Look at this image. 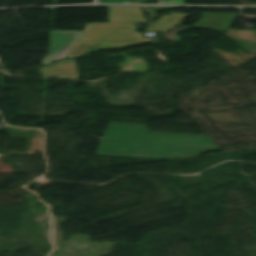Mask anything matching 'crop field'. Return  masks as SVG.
<instances>
[{
	"label": "crop field",
	"mask_w": 256,
	"mask_h": 256,
	"mask_svg": "<svg viewBox=\"0 0 256 256\" xmlns=\"http://www.w3.org/2000/svg\"><path fill=\"white\" fill-rule=\"evenodd\" d=\"M148 8L153 11H160V10H164V9L180 8V7H148Z\"/></svg>",
	"instance_id": "28ad6ade"
},
{
	"label": "crop field",
	"mask_w": 256,
	"mask_h": 256,
	"mask_svg": "<svg viewBox=\"0 0 256 256\" xmlns=\"http://www.w3.org/2000/svg\"><path fill=\"white\" fill-rule=\"evenodd\" d=\"M189 18L188 15L172 13L169 16L161 15L149 31L165 33L168 29L180 24V20Z\"/></svg>",
	"instance_id": "e52e79f7"
},
{
	"label": "crop field",
	"mask_w": 256,
	"mask_h": 256,
	"mask_svg": "<svg viewBox=\"0 0 256 256\" xmlns=\"http://www.w3.org/2000/svg\"><path fill=\"white\" fill-rule=\"evenodd\" d=\"M109 22L146 21L139 7L108 6Z\"/></svg>",
	"instance_id": "dd49c442"
},
{
	"label": "crop field",
	"mask_w": 256,
	"mask_h": 256,
	"mask_svg": "<svg viewBox=\"0 0 256 256\" xmlns=\"http://www.w3.org/2000/svg\"><path fill=\"white\" fill-rule=\"evenodd\" d=\"M138 2H149V1H152V0H136Z\"/></svg>",
	"instance_id": "d1516ede"
},
{
	"label": "crop field",
	"mask_w": 256,
	"mask_h": 256,
	"mask_svg": "<svg viewBox=\"0 0 256 256\" xmlns=\"http://www.w3.org/2000/svg\"><path fill=\"white\" fill-rule=\"evenodd\" d=\"M237 14L202 13V18L193 27L228 32Z\"/></svg>",
	"instance_id": "f4fd0767"
},
{
	"label": "crop field",
	"mask_w": 256,
	"mask_h": 256,
	"mask_svg": "<svg viewBox=\"0 0 256 256\" xmlns=\"http://www.w3.org/2000/svg\"><path fill=\"white\" fill-rule=\"evenodd\" d=\"M103 2L133 3L130 0H98V3H103Z\"/></svg>",
	"instance_id": "3316defc"
},
{
	"label": "crop field",
	"mask_w": 256,
	"mask_h": 256,
	"mask_svg": "<svg viewBox=\"0 0 256 256\" xmlns=\"http://www.w3.org/2000/svg\"><path fill=\"white\" fill-rule=\"evenodd\" d=\"M133 23L147 24L146 22L86 24L78 44L68 57L89 55L96 44H101L103 50H117L146 43L144 37L133 27Z\"/></svg>",
	"instance_id": "ac0d7876"
},
{
	"label": "crop field",
	"mask_w": 256,
	"mask_h": 256,
	"mask_svg": "<svg viewBox=\"0 0 256 256\" xmlns=\"http://www.w3.org/2000/svg\"><path fill=\"white\" fill-rule=\"evenodd\" d=\"M43 77H55L78 80V69L76 63H67L57 69L42 71Z\"/></svg>",
	"instance_id": "d8731c3e"
},
{
	"label": "crop field",
	"mask_w": 256,
	"mask_h": 256,
	"mask_svg": "<svg viewBox=\"0 0 256 256\" xmlns=\"http://www.w3.org/2000/svg\"><path fill=\"white\" fill-rule=\"evenodd\" d=\"M82 32L72 31H53L51 32L50 46L52 49L41 61L43 65L58 60L60 58H66L70 51L76 45Z\"/></svg>",
	"instance_id": "412701ff"
},
{
	"label": "crop field",
	"mask_w": 256,
	"mask_h": 256,
	"mask_svg": "<svg viewBox=\"0 0 256 256\" xmlns=\"http://www.w3.org/2000/svg\"><path fill=\"white\" fill-rule=\"evenodd\" d=\"M54 1H56V0H54Z\"/></svg>",
	"instance_id": "22f410ed"
},
{
	"label": "crop field",
	"mask_w": 256,
	"mask_h": 256,
	"mask_svg": "<svg viewBox=\"0 0 256 256\" xmlns=\"http://www.w3.org/2000/svg\"><path fill=\"white\" fill-rule=\"evenodd\" d=\"M102 138L173 143L168 159L219 149L208 136L148 132L145 124L111 122Z\"/></svg>",
	"instance_id": "8a807250"
},
{
	"label": "crop field",
	"mask_w": 256,
	"mask_h": 256,
	"mask_svg": "<svg viewBox=\"0 0 256 256\" xmlns=\"http://www.w3.org/2000/svg\"><path fill=\"white\" fill-rule=\"evenodd\" d=\"M67 62H75V60H63V61H60V62H58V63H56V64H54L52 66L40 68L39 70L42 71V70H46V69L56 68V67H59L62 64L67 63Z\"/></svg>",
	"instance_id": "5a996713"
},
{
	"label": "crop field",
	"mask_w": 256,
	"mask_h": 256,
	"mask_svg": "<svg viewBox=\"0 0 256 256\" xmlns=\"http://www.w3.org/2000/svg\"><path fill=\"white\" fill-rule=\"evenodd\" d=\"M172 144L102 139L96 154L167 159Z\"/></svg>",
	"instance_id": "34b2d1b8"
}]
</instances>
